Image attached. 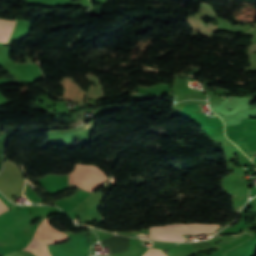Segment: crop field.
Wrapping results in <instances>:
<instances>
[{
    "label": "crop field",
    "mask_w": 256,
    "mask_h": 256,
    "mask_svg": "<svg viewBox=\"0 0 256 256\" xmlns=\"http://www.w3.org/2000/svg\"><path fill=\"white\" fill-rule=\"evenodd\" d=\"M220 225L216 224H182L151 228L152 239L187 241L182 234L213 233Z\"/></svg>",
    "instance_id": "obj_1"
},
{
    "label": "crop field",
    "mask_w": 256,
    "mask_h": 256,
    "mask_svg": "<svg viewBox=\"0 0 256 256\" xmlns=\"http://www.w3.org/2000/svg\"><path fill=\"white\" fill-rule=\"evenodd\" d=\"M47 220L42 221L32 242L22 250L30 251L36 256H51L46 244L67 240L68 234L52 228Z\"/></svg>",
    "instance_id": "obj_2"
},
{
    "label": "crop field",
    "mask_w": 256,
    "mask_h": 256,
    "mask_svg": "<svg viewBox=\"0 0 256 256\" xmlns=\"http://www.w3.org/2000/svg\"><path fill=\"white\" fill-rule=\"evenodd\" d=\"M107 179L105 174L94 166L77 165L75 171L70 173L69 183L91 192Z\"/></svg>",
    "instance_id": "obj_3"
},
{
    "label": "crop field",
    "mask_w": 256,
    "mask_h": 256,
    "mask_svg": "<svg viewBox=\"0 0 256 256\" xmlns=\"http://www.w3.org/2000/svg\"><path fill=\"white\" fill-rule=\"evenodd\" d=\"M16 21H5L0 19V42H7Z\"/></svg>",
    "instance_id": "obj_4"
},
{
    "label": "crop field",
    "mask_w": 256,
    "mask_h": 256,
    "mask_svg": "<svg viewBox=\"0 0 256 256\" xmlns=\"http://www.w3.org/2000/svg\"><path fill=\"white\" fill-rule=\"evenodd\" d=\"M143 256H165L162 250L149 249Z\"/></svg>",
    "instance_id": "obj_5"
},
{
    "label": "crop field",
    "mask_w": 256,
    "mask_h": 256,
    "mask_svg": "<svg viewBox=\"0 0 256 256\" xmlns=\"http://www.w3.org/2000/svg\"><path fill=\"white\" fill-rule=\"evenodd\" d=\"M6 206L0 201V213L7 211Z\"/></svg>",
    "instance_id": "obj_6"
},
{
    "label": "crop field",
    "mask_w": 256,
    "mask_h": 256,
    "mask_svg": "<svg viewBox=\"0 0 256 256\" xmlns=\"http://www.w3.org/2000/svg\"><path fill=\"white\" fill-rule=\"evenodd\" d=\"M253 165L256 167V158L253 159Z\"/></svg>",
    "instance_id": "obj_7"
},
{
    "label": "crop field",
    "mask_w": 256,
    "mask_h": 256,
    "mask_svg": "<svg viewBox=\"0 0 256 256\" xmlns=\"http://www.w3.org/2000/svg\"><path fill=\"white\" fill-rule=\"evenodd\" d=\"M214 108V107H213Z\"/></svg>",
    "instance_id": "obj_8"
}]
</instances>
